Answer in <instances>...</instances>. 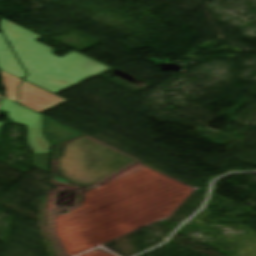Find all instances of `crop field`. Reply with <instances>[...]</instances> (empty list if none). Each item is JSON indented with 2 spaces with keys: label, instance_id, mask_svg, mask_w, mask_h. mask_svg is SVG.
<instances>
[{
  "label": "crop field",
  "instance_id": "obj_1",
  "mask_svg": "<svg viewBox=\"0 0 256 256\" xmlns=\"http://www.w3.org/2000/svg\"><path fill=\"white\" fill-rule=\"evenodd\" d=\"M0 27L28 72L26 81L55 94L110 68L75 51L58 57L42 37L1 17Z\"/></svg>",
  "mask_w": 256,
  "mask_h": 256
},
{
  "label": "crop field",
  "instance_id": "obj_2",
  "mask_svg": "<svg viewBox=\"0 0 256 256\" xmlns=\"http://www.w3.org/2000/svg\"><path fill=\"white\" fill-rule=\"evenodd\" d=\"M0 110L9 111V118L13 122L27 125L28 143L35 151L32 164L47 171L50 146L42 135V115L10 100H4Z\"/></svg>",
  "mask_w": 256,
  "mask_h": 256
},
{
  "label": "crop field",
  "instance_id": "obj_3",
  "mask_svg": "<svg viewBox=\"0 0 256 256\" xmlns=\"http://www.w3.org/2000/svg\"><path fill=\"white\" fill-rule=\"evenodd\" d=\"M44 135L54 147L83 134L44 116Z\"/></svg>",
  "mask_w": 256,
  "mask_h": 256
},
{
  "label": "crop field",
  "instance_id": "obj_4",
  "mask_svg": "<svg viewBox=\"0 0 256 256\" xmlns=\"http://www.w3.org/2000/svg\"><path fill=\"white\" fill-rule=\"evenodd\" d=\"M0 50H12L8 45L3 33H0Z\"/></svg>",
  "mask_w": 256,
  "mask_h": 256
}]
</instances>
